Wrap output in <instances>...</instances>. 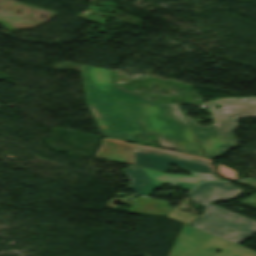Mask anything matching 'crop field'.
<instances>
[{
	"mask_svg": "<svg viewBox=\"0 0 256 256\" xmlns=\"http://www.w3.org/2000/svg\"><path fill=\"white\" fill-rule=\"evenodd\" d=\"M63 64L81 67L88 107L104 136L133 142V135L155 134L163 148L203 155L176 104L154 105L122 91L112 86L106 69Z\"/></svg>",
	"mask_w": 256,
	"mask_h": 256,
	"instance_id": "8a807250",
	"label": "crop field"
},
{
	"mask_svg": "<svg viewBox=\"0 0 256 256\" xmlns=\"http://www.w3.org/2000/svg\"><path fill=\"white\" fill-rule=\"evenodd\" d=\"M95 157L130 165L121 170L131 181L127 187L146 197L161 184L188 192L201 180L223 181L214 174L213 159L138 144L103 138ZM170 164L190 176L166 174Z\"/></svg>",
	"mask_w": 256,
	"mask_h": 256,
	"instance_id": "ac0d7876",
	"label": "crop field"
},
{
	"mask_svg": "<svg viewBox=\"0 0 256 256\" xmlns=\"http://www.w3.org/2000/svg\"><path fill=\"white\" fill-rule=\"evenodd\" d=\"M241 192L227 183L205 182L198 185L188 196L205 209L203 215L190 226L240 245L256 233V222L212 203L234 198Z\"/></svg>",
	"mask_w": 256,
	"mask_h": 256,
	"instance_id": "34b2d1b8",
	"label": "crop field"
},
{
	"mask_svg": "<svg viewBox=\"0 0 256 256\" xmlns=\"http://www.w3.org/2000/svg\"><path fill=\"white\" fill-rule=\"evenodd\" d=\"M215 104L222 108L215 109ZM215 124L210 127L198 126L195 120L186 118L197 136L206 156L216 158L218 154L237 144L233 131L236 117L256 116V98L220 99L209 103Z\"/></svg>",
	"mask_w": 256,
	"mask_h": 256,
	"instance_id": "412701ff",
	"label": "crop field"
},
{
	"mask_svg": "<svg viewBox=\"0 0 256 256\" xmlns=\"http://www.w3.org/2000/svg\"><path fill=\"white\" fill-rule=\"evenodd\" d=\"M170 204L159 200L138 198L128 212L165 217L172 209Z\"/></svg>",
	"mask_w": 256,
	"mask_h": 256,
	"instance_id": "f4fd0767",
	"label": "crop field"
},
{
	"mask_svg": "<svg viewBox=\"0 0 256 256\" xmlns=\"http://www.w3.org/2000/svg\"><path fill=\"white\" fill-rule=\"evenodd\" d=\"M218 175L226 178L227 180H235V172L225 166H221L220 164H216Z\"/></svg>",
	"mask_w": 256,
	"mask_h": 256,
	"instance_id": "dd49c442",
	"label": "crop field"
},
{
	"mask_svg": "<svg viewBox=\"0 0 256 256\" xmlns=\"http://www.w3.org/2000/svg\"><path fill=\"white\" fill-rule=\"evenodd\" d=\"M240 204L248 206V207L256 210V194L252 195V198H249V199L241 202Z\"/></svg>",
	"mask_w": 256,
	"mask_h": 256,
	"instance_id": "e52e79f7",
	"label": "crop field"
},
{
	"mask_svg": "<svg viewBox=\"0 0 256 256\" xmlns=\"http://www.w3.org/2000/svg\"><path fill=\"white\" fill-rule=\"evenodd\" d=\"M52 67H56L55 69L60 68V70H64V71H67L68 69H71V70H75V71L81 72L80 68L72 67V66H68V65H63V64L55 65V66H52ZM68 72H71V71H68ZM72 73L79 74L77 72H72Z\"/></svg>",
	"mask_w": 256,
	"mask_h": 256,
	"instance_id": "d8731c3e",
	"label": "crop field"
}]
</instances>
